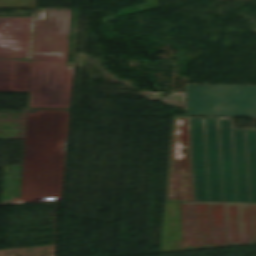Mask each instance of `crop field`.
<instances>
[{
	"label": "crop field",
	"instance_id": "1",
	"mask_svg": "<svg viewBox=\"0 0 256 256\" xmlns=\"http://www.w3.org/2000/svg\"><path fill=\"white\" fill-rule=\"evenodd\" d=\"M256 243V204L194 202L188 118L174 117L160 252Z\"/></svg>",
	"mask_w": 256,
	"mask_h": 256
},
{
	"label": "crop field",
	"instance_id": "4",
	"mask_svg": "<svg viewBox=\"0 0 256 256\" xmlns=\"http://www.w3.org/2000/svg\"><path fill=\"white\" fill-rule=\"evenodd\" d=\"M36 0H0V7L35 8Z\"/></svg>",
	"mask_w": 256,
	"mask_h": 256
},
{
	"label": "crop field",
	"instance_id": "3",
	"mask_svg": "<svg viewBox=\"0 0 256 256\" xmlns=\"http://www.w3.org/2000/svg\"><path fill=\"white\" fill-rule=\"evenodd\" d=\"M189 115L256 117V87L186 85Z\"/></svg>",
	"mask_w": 256,
	"mask_h": 256
},
{
	"label": "crop field",
	"instance_id": "2",
	"mask_svg": "<svg viewBox=\"0 0 256 256\" xmlns=\"http://www.w3.org/2000/svg\"><path fill=\"white\" fill-rule=\"evenodd\" d=\"M195 201L256 203V130L189 118Z\"/></svg>",
	"mask_w": 256,
	"mask_h": 256
}]
</instances>
